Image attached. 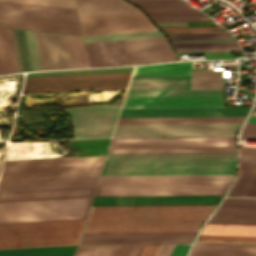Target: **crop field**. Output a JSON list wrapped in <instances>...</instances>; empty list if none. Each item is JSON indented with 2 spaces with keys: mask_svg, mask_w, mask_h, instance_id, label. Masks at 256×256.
<instances>
[{
  "mask_svg": "<svg viewBox=\"0 0 256 256\" xmlns=\"http://www.w3.org/2000/svg\"><path fill=\"white\" fill-rule=\"evenodd\" d=\"M215 206L91 207L83 231L198 230Z\"/></svg>",
  "mask_w": 256,
  "mask_h": 256,
  "instance_id": "1",
  "label": "crop field"
},
{
  "mask_svg": "<svg viewBox=\"0 0 256 256\" xmlns=\"http://www.w3.org/2000/svg\"><path fill=\"white\" fill-rule=\"evenodd\" d=\"M104 157L4 162L0 179L99 173ZM98 175L0 180V191L95 186Z\"/></svg>",
  "mask_w": 256,
  "mask_h": 256,
  "instance_id": "2",
  "label": "crop field"
},
{
  "mask_svg": "<svg viewBox=\"0 0 256 256\" xmlns=\"http://www.w3.org/2000/svg\"><path fill=\"white\" fill-rule=\"evenodd\" d=\"M84 220L0 224V248L77 244Z\"/></svg>",
  "mask_w": 256,
  "mask_h": 256,
  "instance_id": "3",
  "label": "crop field"
},
{
  "mask_svg": "<svg viewBox=\"0 0 256 256\" xmlns=\"http://www.w3.org/2000/svg\"><path fill=\"white\" fill-rule=\"evenodd\" d=\"M235 159L106 161L101 175L233 174Z\"/></svg>",
  "mask_w": 256,
  "mask_h": 256,
  "instance_id": "4",
  "label": "crop field"
},
{
  "mask_svg": "<svg viewBox=\"0 0 256 256\" xmlns=\"http://www.w3.org/2000/svg\"><path fill=\"white\" fill-rule=\"evenodd\" d=\"M235 152L234 137L113 138L108 153Z\"/></svg>",
  "mask_w": 256,
  "mask_h": 256,
  "instance_id": "5",
  "label": "crop field"
},
{
  "mask_svg": "<svg viewBox=\"0 0 256 256\" xmlns=\"http://www.w3.org/2000/svg\"><path fill=\"white\" fill-rule=\"evenodd\" d=\"M92 197L0 203V223L85 218Z\"/></svg>",
  "mask_w": 256,
  "mask_h": 256,
  "instance_id": "6",
  "label": "crop field"
},
{
  "mask_svg": "<svg viewBox=\"0 0 256 256\" xmlns=\"http://www.w3.org/2000/svg\"><path fill=\"white\" fill-rule=\"evenodd\" d=\"M218 106H223V89L128 91L122 108Z\"/></svg>",
  "mask_w": 256,
  "mask_h": 256,
  "instance_id": "7",
  "label": "crop field"
},
{
  "mask_svg": "<svg viewBox=\"0 0 256 256\" xmlns=\"http://www.w3.org/2000/svg\"><path fill=\"white\" fill-rule=\"evenodd\" d=\"M87 62L174 55L166 38L84 44Z\"/></svg>",
  "mask_w": 256,
  "mask_h": 256,
  "instance_id": "8",
  "label": "crop field"
},
{
  "mask_svg": "<svg viewBox=\"0 0 256 256\" xmlns=\"http://www.w3.org/2000/svg\"><path fill=\"white\" fill-rule=\"evenodd\" d=\"M130 73L26 78L22 92L126 87Z\"/></svg>",
  "mask_w": 256,
  "mask_h": 256,
  "instance_id": "9",
  "label": "crop field"
},
{
  "mask_svg": "<svg viewBox=\"0 0 256 256\" xmlns=\"http://www.w3.org/2000/svg\"><path fill=\"white\" fill-rule=\"evenodd\" d=\"M239 123L117 125L113 136L235 135Z\"/></svg>",
  "mask_w": 256,
  "mask_h": 256,
  "instance_id": "10",
  "label": "crop field"
},
{
  "mask_svg": "<svg viewBox=\"0 0 256 256\" xmlns=\"http://www.w3.org/2000/svg\"><path fill=\"white\" fill-rule=\"evenodd\" d=\"M83 36L157 30L141 11L79 16Z\"/></svg>",
  "mask_w": 256,
  "mask_h": 256,
  "instance_id": "11",
  "label": "crop field"
},
{
  "mask_svg": "<svg viewBox=\"0 0 256 256\" xmlns=\"http://www.w3.org/2000/svg\"><path fill=\"white\" fill-rule=\"evenodd\" d=\"M229 184L98 185L94 196L224 194Z\"/></svg>",
  "mask_w": 256,
  "mask_h": 256,
  "instance_id": "12",
  "label": "crop field"
},
{
  "mask_svg": "<svg viewBox=\"0 0 256 256\" xmlns=\"http://www.w3.org/2000/svg\"><path fill=\"white\" fill-rule=\"evenodd\" d=\"M196 231L83 232L80 244L191 243Z\"/></svg>",
  "mask_w": 256,
  "mask_h": 256,
  "instance_id": "13",
  "label": "crop field"
},
{
  "mask_svg": "<svg viewBox=\"0 0 256 256\" xmlns=\"http://www.w3.org/2000/svg\"><path fill=\"white\" fill-rule=\"evenodd\" d=\"M119 106L120 105L66 109L72 117L74 138L111 135Z\"/></svg>",
  "mask_w": 256,
  "mask_h": 256,
  "instance_id": "14",
  "label": "crop field"
},
{
  "mask_svg": "<svg viewBox=\"0 0 256 256\" xmlns=\"http://www.w3.org/2000/svg\"><path fill=\"white\" fill-rule=\"evenodd\" d=\"M222 195L94 197L91 206L218 204Z\"/></svg>",
  "mask_w": 256,
  "mask_h": 256,
  "instance_id": "15",
  "label": "crop field"
},
{
  "mask_svg": "<svg viewBox=\"0 0 256 256\" xmlns=\"http://www.w3.org/2000/svg\"><path fill=\"white\" fill-rule=\"evenodd\" d=\"M34 34L41 70L72 68L66 35Z\"/></svg>",
  "mask_w": 256,
  "mask_h": 256,
  "instance_id": "16",
  "label": "crop field"
},
{
  "mask_svg": "<svg viewBox=\"0 0 256 256\" xmlns=\"http://www.w3.org/2000/svg\"><path fill=\"white\" fill-rule=\"evenodd\" d=\"M233 175L101 176L98 184L230 183Z\"/></svg>",
  "mask_w": 256,
  "mask_h": 256,
  "instance_id": "17",
  "label": "crop field"
},
{
  "mask_svg": "<svg viewBox=\"0 0 256 256\" xmlns=\"http://www.w3.org/2000/svg\"><path fill=\"white\" fill-rule=\"evenodd\" d=\"M249 107L122 109L119 117L245 116Z\"/></svg>",
  "mask_w": 256,
  "mask_h": 256,
  "instance_id": "18",
  "label": "crop field"
},
{
  "mask_svg": "<svg viewBox=\"0 0 256 256\" xmlns=\"http://www.w3.org/2000/svg\"><path fill=\"white\" fill-rule=\"evenodd\" d=\"M208 223L256 225V199L225 198Z\"/></svg>",
  "mask_w": 256,
  "mask_h": 256,
  "instance_id": "19",
  "label": "crop field"
},
{
  "mask_svg": "<svg viewBox=\"0 0 256 256\" xmlns=\"http://www.w3.org/2000/svg\"><path fill=\"white\" fill-rule=\"evenodd\" d=\"M0 14L78 22L75 9L0 1Z\"/></svg>",
  "mask_w": 256,
  "mask_h": 256,
  "instance_id": "20",
  "label": "crop field"
},
{
  "mask_svg": "<svg viewBox=\"0 0 256 256\" xmlns=\"http://www.w3.org/2000/svg\"><path fill=\"white\" fill-rule=\"evenodd\" d=\"M240 168L229 196L256 197V148L239 147Z\"/></svg>",
  "mask_w": 256,
  "mask_h": 256,
  "instance_id": "21",
  "label": "crop field"
},
{
  "mask_svg": "<svg viewBox=\"0 0 256 256\" xmlns=\"http://www.w3.org/2000/svg\"><path fill=\"white\" fill-rule=\"evenodd\" d=\"M0 26L80 35L74 22L0 15Z\"/></svg>",
  "mask_w": 256,
  "mask_h": 256,
  "instance_id": "22",
  "label": "crop field"
},
{
  "mask_svg": "<svg viewBox=\"0 0 256 256\" xmlns=\"http://www.w3.org/2000/svg\"><path fill=\"white\" fill-rule=\"evenodd\" d=\"M95 187L6 191L0 192V202L92 196Z\"/></svg>",
  "mask_w": 256,
  "mask_h": 256,
  "instance_id": "23",
  "label": "crop field"
},
{
  "mask_svg": "<svg viewBox=\"0 0 256 256\" xmlns=\"http://www.w3.org/2000/svg\"><path fill=\"white\" fill-rule=\"evenodd\" d=\"M189 256H256V244L196 241Z\"/></svg>",
  "mask_w": 256,
  "mask_h": 256,
  "instance_id": "24",
  "label": "crop field"
},
{
  "mask_svg": "<svg viewBox=\"0 0 256 256\" xmlns=\"http://www.w3.org/2000/svg\"><path fill=\"white\" fill-rule=\"evenodd\" d=\"M190 89V76L132 77L128 90Z\"/></svg>",
  "mask_w": 256,
  "mask_h": 256,
  "instance_id": "25",
  "label": "crop field"
},
{
  "mask_svg": "<svg viewBox=\"0 0 256 256\" xmlns=\"http://www.w3.org/2000/svg\"><path fill=\"white\" fill-rule=\"evenodd\" d=\"M235 158V153L108 154L106 160Z\"/></svg>",
  "mask_w": 256,
  "mask_h": 256,
  "instance_id": "26",
  "label": "crop field"
},
{
  "mask_svg": "<svg viewBox=\"0 0 256 256\" xmlns=\"http://www.w3.org/2000/svg\"><path fill=\"white\" fill-rule=\"evenodd\" d=\"M76 3L79 15L138 10L124 0H76Z\"/></svg>",
  "mask_w": 256,
  "mask_h": 256,
  "instance_id": "27",
  "label": "crop field"
},
{
  "mask_svg": "<svg viewBox=\"0 0 256 256\" xmlns=\"http://www.w3.org/2000/svg\"><path fill=\"white\" fill-rule=\"evenodd\" d=\"M244 117L119 118L117 124L241 122Z\"/></svg>",
  "mask_w": 256,
  "mask_h": 256,
  "instance_id": "28",
  "label": "crop field"
},
{
  "mask_svg": "<svg viewBox=\"0 0 256 256\" xmlns=\"http://www.w3.org/2000/svg\"><path fill=\"white\" fill-rule=\"evenodd\" d=\"M143 245L80 246L75 256H138Z\"/></svg>",
  "mask_w": 256,
  "mask_h": 256,
  "instance_id": "29",
  "label": "crop field"
},
{
  "mask_svg": "<svg viewBox=\"0 0 256 256\" xmlns=\"http://www.w3.org/2000/svg\"><path fill=\"white\" fill-rule=\"evenodd\" d=\"M192 62L146 65L134 68L132 76L190 75Z\"/></svg>",
  "mask_w": 256,
  "mask_h": 256,
  "instance_id": "30",
  "label": "crop field"
},
{
  "mask_svg": "<svg viewBox=\"0 0 256 256\" xmlns=\"http://www.w3.org/2000/svg\"><path fill=\"white\" fill-rule=\"evenodd\" d=\"M17 72L9 29L0 28V75Z\"/></svg>",
  "mask_w": 256,
  "mask_h": 256,
  "instance_id": "31",
  "label": "crop field"
},
{
  "mask_svg": "<svg viewBox=\"0 0 256 256\" xmlns=\"http://www.w3.org/2000/svg\"><path fill=\"white\" fill-rule=\"evenodd\" d=\"M110 138L72 140L77 148V157L105 155Z\"/></svg>",
  "mask_w": 256,
  "mask_h": 256,
  "instance_id": "32",
  "label": "crop field"
},
{
  "mask_svg": "<svg viewBox=\"0 0 256 256\" xmlns=\"http://www.w3.org/2000/svg\"><path fill=\"white\" fill-rule=\"evenodd\" d=\"M148 16L204 15L188 5H138Z\"/></svg>",
  "mask_w": 256,
  "mask_h": 256,
  "instance_id": "33",
  "label": "crop field"
},
{
  "mask_svg": "<svg viewBox=\"0 0 256 256\" xmlns=\"http://www.w3.org/2000/svg\"><path fill=\"white\" fill-rule=\"evenodd\" d=\"M201 234L256 236V226L206 224Z\"/></svg>",
  "mask_w": 256,
  "mask_h": 256,
  "instance_id": "34",
  "label": "crop field"
},
{
  "mask_svg": "<svg viewBox=\"0 0 256 256\" xmlns=\"http://www.w3.org/2000/svg\"><path fill=\"white\" fill-rule=\"evenodd\" d=\"M165 37L159 31L83 37L84 43Z\"/></svg>",
  "mask_w": 256,
  "mask_h": 256,
  "instance_id": "35",
  "label": "crop field"
},
{
  "mask_svg": "<svg viewBox=\"0 0 256 256\" xmlns=\"http://www.w3.org/2000/svg\"><path fill=\"white\" fill-rule=\"evenodd\" d=\"M222 88L221 72H192L191 89Z\"/></svg>",
  "mask_w": 256,
  "mask_h": 256,
  "instance_id": "36",
  "label": "crop field"
},
{
  "mask_svg": "<svg viewBox=\"0 0 256 256\" xmlns=\"http://www.w3.org/2000/svg\"><path fill=\"white\" fill-rule=\"evenodd\" d=\"M228 33L166 34L170 39L233 38Z\"/></svg>",
  "mask_w": 256,
  "mask_h": 256,
  "instance_id": "37",
  "label": "crop field"
},
{
  "mask_svg": "<svg viewBox=\"0 0 256 256\" xmlns=\"http://www.w3.org/2000/svg\"><path fill=\"white\" fill-rule=\"evenodd\" d=\"M32 70H40L33 32L25 31Z\"/></svg>",
  "mask_w": 256,
  "mask_h": 256,
  "instance_id": "38",
  "label": "crop field"
},
{
  "mask_svg": "<svg viewBox=\"0 0 256 256\" xmlns=\"http://www.w3.org/2000/svg\"><path fill=\"white\" fill-rule=\"evenodd\" d=\"M172 60H177V58L176 57H169V58H157V59H144V60H132V61L94 63V64H88V67L115 66V65H127V64H135V63L160 62V61H172Z\"/></svg>",
  "mask_w": 256,
  "mask_h": 256,
  "instance_id": "39",
  "label": "crop field"
},
{
  "mask_svg": "<svg viewBox=\"0 0 256 256\" xmlns=\"http://www.w3.org/2000/svg\"><path fill=\"white\" fill-rule=\"evenodd\" d=\"M7 1H16V2H25V3H34V4L75 8L74 0H7Z\"/></svg>",
  "mask_w": 256,
  "mask_h": 256,
  "instance_id": "40",
  "label": "crop field"
},
{
  "mask_svg": "<svg viewBox=\"0 0 256 256\" xmlns=\"http://www.w3.org/2000/svg\"><path fill=\"white\" fill-rule=\"evenodd\" d=\"M78 68L86 67L82 39L71 36Z\"/></svg>",
  "mask_w": 256,
  "mask_h": 256,
  "instance_id": "41",
  "label": "crop field"
},
{
  "mask_svg": "<svg viewBox=\"0 0 256 256\" xmlns=\"http://www.w3.org/2000/svg\"><path fill=\"white\" fill-rule=\"evenodd\" d=\"M221 27H184V28H160L164 33H189V32H221L214 31Z\"/></svg>",
  "mask_w": 256,
  "mask_h": 256,
  "instance_id": "42",
  "label": "crop field"
},
{
  "mask_svg": "<svg viewBox=\"0 0 256 256\" xmlns=\"http://www.w3.org/2000/svg\"><path fill=\"white\" fill-rule=\"evenodd\" d=\"M199 239H201V240H218V241H250V242H256V237L200 235Z\"/></svg>",
  "mask_w": 256,
  "mask_h": 256,
  "instance_id": "43",
  "label": "crop field"
},
{
  "mask_svg": "<svg viewBox=\"0 0 256 256\" xmlns=\"http://www.w3.org/2000/svg\"><path fill=\"white\" fill-rule=\"evenodd\" d=\"M174 48L238 47L236 43L172 44Z\"/></svg>",
  "mask_w": 256,
  "mask_h": 256,
  "instance_id": "44",
  "label": "crop field"
},
{
  "mask_svg": "<svg viewBox=\"0 0 256 256\" xmlns=\"http://www.w3.org/2000/svg\"><path fill=\"white\" fill-rule=\"evenodd\" d=\"M240 139L256 140V123H246Z\"/></svg>",
  "mask_w": 256,
  "mask_h": 256,
  "instance_id": "45",
  "label": "crop field"
},
{
  "mask_svg": "<svg viewBox=\"0 0 256 256\" xmlns=\"http://www.w3.org/2000/svg\"><path fill=\"white\" fill-rule=\"evenodd\" d=\"M199 17L205 16H177V17H150L153 21H183V20H199ZM207 19V18H200Z\"/></svg>",
  "mask_w": 256,
  "mask_h": 256,
  "instance_id": "46",
  "label": "crop field"
},
{
  "mask_svg": "<svg viewBox=\"0 0 256 256\" xmlns=\"http://www.w3.org/2000/svg\"><path fill=\"white\" fill-rule=\"evenodd\" d=\"M171 43L236 42L235 39L170 40Z\"/></svg>",
  "mask_w": 256,
  "mask_h": 256,
  "instance_id": "47",
  "label": "crop field"
},
{
  "mask_svg": "<svg viewBox=\"0 0 256 256\" xmlns=\"http://www.w3.org/2000/svg\"><path fill=\"white\" fill-rule=\"evenodd\" d=\"M135 4H186L182 0L131 1Z\"/></svg>",
  "mask_w": 256,
  "mask_h": 256,
  "instance_id": "48",
  "label": "crop field"
},
{
  "mask_svg": "<svg viewBox=\"0 0 256 256\" xmlns=\"http://www.w3.org/2000/svg\"><path fill=\"white\" fill-rule=\"evenodd\" d=\"M160 245H145L140 256H155Z\"/></svg>",
  "mask_w": 256,
  "mask_h": 256,
  "instance_id": "49",
  "label": "crop field"
},
{
  "mask_svg": "<svg viewBox=\"0 0 256 256\" xmlns=\"http://www.w3.org/2000/svg\"><path fill=\"white\" fill-rule=\"evenodd\" d=\"M190 244L176 245L171 256H185Z\"/></svg>",
  "mask_w": 256,
  "mask_h": 256,
  "instance_id": "50",
  "label": "crop field"
},
{
  "mask_svg": "<svg viewBox=\"0 0 256 256\" xmlns=\"http://www.w3.org/2000/svg\"><path fill=\"white\" fill-rule=\"evenodd\" d=\"M175 245H161L156 256H170Z\"/></svg>",
  "mask_w": 256,
  "mask_h": 256,
  "instance_id": "51",
  "label": "crop field"
},
{
  "mask_svg": "<svg viewBox=\"0 0 256 256\" xmlns=\"http://www.w3.org/2000/svg\"><path fill=\"white\" fill-rule=\"evenodd\" d=\"M176 51L240 50V48L175 49Z\"/></svg>",
  "mask_w": 256,
  "mask_h": 256,
  "instance_id": "52",
  "label": "crop field"
},
{
  "mask_svg": "<svg viewBox=\"0 0 256 256\" xmlns=\"http://www.w3.org/2000/svg\"><path fill=\"white\" fill-rule=\"evenodd\" d=\"M68 43H69V49H70V54H71V60H72V66L73 68H77L76 66V61H75V57H74V52H73V47H72V43H71V38L70 36H68Z\"/></svg>",
  "mask_w": 256,
  "mask_h": 256,
  "instance_id": "53",
  "label": "crop field"
},
{
  "mask_svg": "<svg viewBox=\"0 0 256 256\" xmlns=\"http://www.w3.org/2000/svg\"><path fill=\"white\" fill-rule=\"evenodd\" d=\"M247 122H256V116H249Z\"/></svg>",
  "mask_w": 256,
  "mask_h": 256,
  "instance_id": "54",
  "label": "crop field"
}]
</instances>
